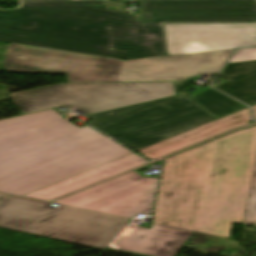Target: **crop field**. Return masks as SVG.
<instances>
[{
  "mask_svg": "<svg viewBox=\"0 0 256 256\" xmlns=\"http://www.w3.org/2000/svg\"><path fill=\"white\" fill-rule=\"evenodd\" d=\"M243 224L256 225V161Z\"/></svg>",
  "mask_w": 256,
  "mask_h": 256,
  "instance_id": "obj_15",
  "label": "crop field"
},
{
  "mask_svg": "<svg viewBox=\"0 0 256 256\" xmlns=\"http://www.w3.org/2000/svg\"><path fill=\"white\" fill-rule=\"evenodd\" d=\"M256 156V126L169 157L155 224L229 238L242 224Z\"/></svg>",
  "mask_w": 256,
  "mask_h": 256,
  "instance_id": "obj_2",
  "label": "crop field"
},
{
  "mask_svg": "<svg viewBox=\"0 0 256 256\" xmlns=\"http://www.w3.org/2000/svg\"><path fill=\"white\" fill-rule=\"evenodd\" d=\"M234 50L118 60L10 43L3 69L18 73L65 74L67 83L173 82L176 95L200 73L218 72Z\"/></svg>",
  "mask_w": 256,
  "mask_h": 256,
  "instance_id": "obj_4",
  "label": "crop field"
},
{
  "mask_svg": "<svg viewBox=\"0 0 256 256\" xmlns=\"http://www.w3.org/2000/svg\"><path fill=\"white\" fill-rule=\"evenodd\" d=\"M172 95V83H107L56 84L10 96L24 114L62 105L90 114Z\"/></svg>",
  "mask_w": 256,
  "mask_h": 256,
  "instance_id": "obj_7",
  "label": "crop field"
},
{
  "mask_svg": "<svg viewBox=\"0 0 256 256\" xmlns=\"http://www.w3.org/2000/svg\"><path fill=\"white\" fill-rule=\"evenodd\" d=\"M10 196L0 204V227L105 249L129 218Z\"/></svg>",
  "mask_w": 256,
  "mask_h": 256,
  "instance_id": "obj_5",
  "label": "crop field"
},
{
  "mask_svg": "<svg viewBox=\"0 0 256 256\" xmlns=\"http://www.w3.org/2000/svg\"><path fill=\"white\" fill-rule=\"evenodd\" d=\"M219 76L228 80L215 88L248 105L256 103V61L227 63Z\"/></svg>",
  "mask_w": 256,
  "mask_h": 256,
  "instance_id": "obj_13",
  "label": "crop field"
},
{
  "mask_svg": "<svg viewBox=\"0 0 256 256\" xmlns=\"http://www.w3.org/2000/svg\"><path fill=\"white\" fill-rule=\"evenodd\" d=\"M155 181L133 171L55 203L132 218L150 213Z\"/></svg>",
  "mask_w": 256,
  "mask_h": 256,
  "instance_id": "obj_8",
  "label": "crop field"
},
{
  "mask_svg": "<svg viewBox=\"0 0 256 256\" xmlns=\"http://www.w3.org/2000/svg\"><path fill=\"white\" fill-rule=\"evenodd\" d=\"M7 197H9L8 195H2L0 194V203L5 200Z\"/></svg>",
  "mask_w": 256,
  "mask_h": 256,
  "instance_id": "obj_17",
  "label": "crop field"
},
{
  "mask_svg": "<svg viewBox=\"0 0 256 256\" xmlns=\"http://www.w3.org/2000/svg\"><path fill=\"white\" fill-rule=\"evenodd\" d=\"M192 233L155 224L151 230L126 225L109 247L152 256H173Z\"/></svg>",
  "mask_w": 256,
  "mask_h": 256,
  "instance_id": "obj_10",
  "label": "crop field"
},
{
  "mask_svg": "<svg viewBox=\"0 0 256 256\" xmlns=\"http://www.w3.org/2000/svg\"><path fill=\"white\" fill-rule=\"evenodd\" d=\"M87 126L54 109L1 120L0 191L23 196L132 153Z\"/></svg>",
  "mask_w": 256,
  "mask_h": 256,
  "instance_id": "obj_3",
  "label": "crop field"
},
{
  "mask_svg": "<svg viewBox=\"0 0 256 256\" xmlns=\"http://www.w3.org/2000/svg\"><path fill=\"white\" fill-rule=\"evenodd\" d=\"M251 118V114L246 108L137 152L154 160L234 127L247 125L248 123L245 121Z\"/></svg>",
  "mask_w": 256,
  "mask_h": 256,
  "instance_id": "obj_12",
  "label": "crop field"
},
{
  "mask_svg": "<svg viewBox=\"0 0 256 256\" xmlns=\"http://www.w3.org/2000/svg\"><path fill=\"white\" fill-rule=\"evenodd\" d=\"M169 55L256 46V23L165 24Z\"/></svg>",
  "mask_w": 256,
  "mask_h": 256,
  "instance_id": "obj_9",
  "label": "crop field"
},
{
  "mask_svg": "<svg viewBox=\"0 0 256 256\" xmlns=\"http://www.w3.org/2000/svg\"><path fill=\"white\" fill-rule=\"evenodd\" d=\"M191 100L185 94L172 96L90 114L86 123L137 151L214 120Z\"/></svg>",
  "mask_w": 256,
  "mask_h": 256,
  "instance_id": "obj_6",
  "label": "crop field"
},
{
  "mask_svg": "<svg viewBox=\"0 0 256 256\" xmlns=\"http://www.w3.org/2000/svg\"><path fill=\"white\" fill-rule=\"evenodd\" d=\"M251 108L253 109V111H254V114H255V117H256V105H254V106H251Z\"/></svg>",
  "mask_w": 256,
  "mask_h": 256,
  "instance_id": "obj_18",
  "label": "crop field"
},
{
  "mask_svg": "<svg viewBox=\"0 0 256 256\" xmlns=\"http://www.w3.org/2000/svg\"><path fill=\"white\" fill-rule=\"evenodd\" d=\"M124 1L21 2L0 9V41L129 59L168 55L164 23L256 22V0H149L143 24Z\"/></svg>",
  "mask_w": 256,
  "mask_h": 256,
  "instance_id": "obj_1",
  "label": "crop field"
},
{
  "mask_svg": "<svg viewBox=\"0 0 256 256\" xmlns=\"http://www.w3.org/2000/svg\"><path fill=\"white\" fill-rule=\"evenodd\" d=\"M192 99L207 109L216 118L246 107L211 88L195 95Z\"/></svg>",
  "mask_w": 256,
  "mask_h": 256,
  "instance_id": "obj_14",
  "label": "crop field"
},
{
  "mask_svg": "<svg viewBox=\"0 0 256 256\" xmlns=\"http://www.w3.org/2000/svg\"><path fill=\"white\" fill-rule=\"evenodd\" d=\"M256 60V48L242 49L235 53L229 62Z\"/></svg>",
  "mask_w": 256,
  "mask_h": 256,
  "instance_id": "obj_16",
  "label": "crop field"
},
{
  "mask_svg": "<svg viewBox=\"0 0 256 256\" xmlns=\"http://www.w3.org/2000/svg\"><path fill=\"white\" fill-rule=\"evenodd\" d=\"M147 160L132 153L102 166L96 167L79 175L73 176L46 188L40 189L23 197L38 199H54L80 190L111 176L138 167Z\"/></svg>",
  "mask_w": 256,
  "mask_h": 256,
  "instance_id": "obj_11",
  "label": "crop field"
}]
</instances>
